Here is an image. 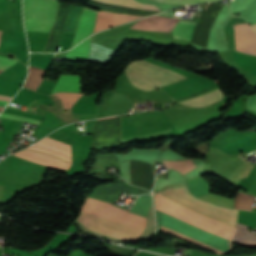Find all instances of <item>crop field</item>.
Instances as JSON below:
<instances>
[{"label":"crop field","instance_id":"4a817a6b","mask_svg":"<svg viewBox=\"0 0 256 256\" xmlns=\"http://www.w3.org/2000/svg\"><path fill=\"white\" fill-rule=\"evenodd\" d=\"M45 71L29 66L28 79L24 87L35 90L41 79L43 78Z\"/></svg>","mask_w":256,"mask_h":256},{"label":"crop field","instance_id":"eef30255","mask_svg":"<svg viewBox=\"0 0 256 256\" xmlns=\"http://www.w3.org/2000/svg\"><path fill=\"white\" fill-rule=\"evenodd\" d=\"M6 104H7L6 102H0V106H4L5 107Z\"/></svg>","mask_w":256,"mask_h":256},{"label":"crop field","instance_id":"bc2a9ffb","mask_svg":"<svg viewBox=\"0 0 256 256\" xmlns=\"http://www.w3.org/2000/svg\"><path fill=\"white\" fill-rule=\"evenodd\" d=\"M164 166L172 169H177L183 174L196 168L191 160L186 161H164Z\"/></svg>","mask_w":256,"mask_h":256},{"label":"crop field","instance_id":"e52e79f7","mask_svg":"<svg viewBox=\"0 0 256 256\" xmlns=\"http://www.w3.org/2000/svg\"><path fill=\"white\" fill-rule=\"evenodd\" d=\"M36 145H39V146H42V147H45V148H48V149H51V150H55V151H58V152H61V153H64V154H67V155L71 156V146L70 145H67L65 143L53 140V139L48 138V137L44 138L43 140L38 142ZM36 145H33V146H31L29 148H26V149L42 151V152L51 154L55 157H58L60 159H63L65 161H68V162L71 163V157L70 156H67V155H64V154H61V153H58V152H55V151H51V150H48V149H45V148H42V147H39V146H36Z\"/></svg>","mask_w":256,"mask_h":256},{"label":"crop field","instance_id":"8a807250","mask_svg":"<svg viewBox=\"0 0 256 256\" xmlns=\"http://www.w3.org/2000/svg\"><path fill=\"white\" fill-rule=\"evenodd\" d=\"M81 211L98 215L104 218L120 221L144 229L146 218L127 212L110 205L109 203L87 198ZM79 212L76 220L86 227L110 236L122 239H135L142 229L132 227L120 222L104 219L88 213Z\"/></svg>","mask_w":256,"mask_h":256},{"label":"crop field","instance_id":"ae1a2a85","mask_svg":"<svg viewBox=\"0 0 256 256\" xmlns=\"http://www.w3.org/2000/svg\"><path fill=\"white\" fill-rule=\"evenodd\" d=\"M253 30L256 32V24L252 25Z\"/></svg>","mask_w":256,"mask_h":256},{"label":"crop field","instance_id":"412701ff","mask_svg":"<svg viewBox=\"0 0 256 256\" xmlns=\"http://www.w3.org/2000/svg\"><path fill=\"white\" fill-rule=\"evenodd\" d=\"M57 0H24L27 30L48 32L54 22Z\"/></svg>","mask_w":256,"mask_h":256},{"label":"crop field","instance_id":"1d83c4d3","mask_svg":"<svg viewBox=\"0 0 256 256\" xmlns=\"http://www.w3.org/2000/svg\"><path fill=\"white\" fill-rule=\"evenodd\" d=\"M208 5H209V3H208ZM208 5H207V6H208ZM207 6H206V7H207ZM205 9H206V8H205Z\"/></svg>","mask_w":256,"mask_h":256},{"label":"crop field","instance_id":"4177f3b9","mask_svg":"<svg viewBox=\"0 0 256 256\" xmlns=\"http://www.w3.org/2000/svg\"><path fill=\"white\" fill-rule=\"evenodd\" d=\"M17 59L0 56V69H6L12 66Z\"/></svg>","mask_w":256,"mask_h":256},{"label":"crop field","instance_id":"dd49c442","mask_svg":"<svg viewBox=\"0 0 256 256\" xmlns=\"http://www.w3.org/2000/svg\"><path fill=\"white\" fill-rule=\"evenodd\" d=\"M236 50L256 55V34L249 24L234 25Z\"/></svg>","mask_w":256,"mask_h":256},{"label":"crop field","instance_id":"214f88e0","mask_svg":"<svg viewBox=\"0 0 256 256\" xmlns=\"http://www.w3.org/2000/svg\"><path fill=\"white\" fill-rule=\"evenodd\" d=\"M200 198L204 199V200H207L211 203H215V204H219V205H223V206L233 208L232 199H229V198H225V197L215 195V194H212V193H209V194H207L203 197H200Z\"/></svg>","mask_w":256,"mask_h":256},{"label":"crop field","instance_id":"733c2abd","mask_svg":"<svg viewBox=\"0 0 256 256\" xmlns=\"http://www.w3.org/2000/svg\"><path fill=\"white\" fill-rule=\"evenodd\" d=\"M255 199V197L237 192L233 201L234 208L239 210L252 211V205Z\"/></svg>","mask_w":256,"mask_h":256},{"label":"crop field","instance_id":"22f410ed","mask_svg":"<svg viewBox=\"0 0 256 256\" xmlns=\"http://www.w3.org/2000/svg\"><path fill=\"white\" fill-rule=\"evenodd\" d=\"M181 20L187 21V20H183V19H181ZM182 21H179V23L173 29L172 34H173L174 38L191 40L192 31L195 26V24H194L195 22L188 23L191 21H188V22H182Z\"/></svg>","mask_w":256,"mask_h":256},{"label":"crop field","instance_id":"92a150f3","mask_svg":"<svg viewBox=\"0 0 256 256\" xmlns=\"http://www.w3.org/2000/svg\"><path fill=\"white\" fill-rule=\"evenodd\" d=\"M159 228H160V229H163L164 231L170 232V233H172V234H174V235L180 236V237H182V238H184V239H186V240H188V241H190V242H193V243H195V244H197V245H200V246H202V247H204V248H206V249H209V250H211V251H214V252H216V253H218V254H226V253H228V252H230V251L232 250V246H231V242H230V241H229L230 249L227 250L226 252H221V251H219V250H217V249H215V248H212V247H210V246H208V245H205V244H203V243H200V242H198V241H196V240H193V239H191V238H189V237H186V236H184V235H182V234H179V233H177V232H174V231H172V230H170V229H167V228H165V227H163V226H161V225H159ZM180 237H179V238H180Z\"/></svg>","mask_w":256,"mask_h":256},{"label":"crop field","instance_id":"5a996713","mask_svg":"<svg viewBox=\"0 0 256 256\" xmlns=\"http://www.w3.org/2000/svg\"><path fill=\"white\" fill-rule=\"evenodd\" d=\"M96 14V10L86 7L84 8L81 20L77 28L76 38L73 43V46L93 31L94 23L96 20Z\"/></svg>","mask_w":256,"mask_h":256},{"label":"crop field","instance_id":"d3111659","mask_svg":"<svg viewBox=\"0 0 256 256\" xmlns=\"http://www.w3.org/2000/svg\"><path fill=\"white\" fill-rule=\"evenodd\" d=\"M115 117H117V116H115ZM108 118H113V117H108ZM108 118H103V119H108ZM103 119H101V120H103ZM99 121V120H98Z\"/></svg>","mask_w":256,"mask_h":256},{"label":"crop field","instance_id":"ac0d7876","mask_svg":"<svg viewBox=\"0 0 256 256\" xmlns=\"http://www.w3.org/2000/svg\"><path fill=\"white\" fill-rule=\"evenodd\" d=\"M126 75L133 86L153 90L161 85L186 79L185 77L145 60L134 61L126 67Z\"/></svg>","mask_w":256,"mask_h":256},{"label":"crop field","instance_id":"d8731c3e","mask_svg":"<svg viewBox=\"0 0 256 256\" xmlns=\"http://www.w3.org/2000/svg\"><path fill=\"white\" fill-rule=\"evenodd\" d=\"M13 155H16L18 157L27 159L29 161H32L41 165L55 167V168L64 169V170H66L70 166V164L63 162L57 158L51 157L46 154L38 153V152L20 151Z\"/></svg>","mask_w":256,"mask_h":256},{"label":"crop field","instance_id":"cbeb9de0","mask_svg":"<svg viewBox=\"0 0 256 256\" xmlns=\"http://www.w3.org/2000/svg\"><path fill=\"white\" fill-rule=\"evenodd\" d=\"M247 228H248L247 226H244V225L238 223L233 241L242 242V243L251 244V245L256 246V236L251 234L247 230Z\"/></svg>","mask_w":256,"mask_h":256},{"label":"crop field","instance_id":"00972430","mask_svg":"<svg viewBox=\"0 0 256 256\" xmlns=\"http://www.w3.org/2000/svg\"><path fill=\"white\" fill-rule=\"evenodd\" d=\"M0 117H4V118H8V119H13V120H19V121L28 122V123H33V124H36V125H38L39 122H40L38 120L28 119V118H24V117H21V116H14V115L5 114V113H2L0 115Z\"/></svg>","mask_w":256,"mask_h":256},{"label":"crop field","instance_id":"d9b57169","mask_svg":"<svg viewBox=\"0 0 256 256\" xmlns=\"http://www.w3.org/2000/svg\"><path fill=\"white\" fill-rule=\"evenodd\" d=\"M221 96H222V94L219 91V92H215V93H212L209 95H205V96L191 99V100L181 102V103H183L185 105H192V106H206V105H209L211 103H214V102L220 100Z\"/></svg>","mask_w":256,"mask_h":256},{"label":"crop field","instance_id":"730fd06b","mask_svg":"<svg viewBox=\"0 0 256 256\" xmlns=\"http://www.w3.org/2000/svg\"><path fill=\"white\" fill-rule=\"evenodd\" d=\"M11 99V97H7V96H0V101H6L9 102Z\"/></svg>","mask_w":256,"mask_h":256},{"label":"crop field","instance_id":"d1516ede","mask_svg":"<svg viewBox=\"0 0 256 256\" xmlns=\"http://www.w3.org/2000/svg\"><path fill=\"white\" fill-rule=\"evenodd\" d=\"M91 38L92 36L80 43L73 50H70L64 59L87 60L89 56Z\"/></svg>","mask_w":256,"mask_h":256},{"label":"crop field","instance_id":"a9b5d70f","mask_svg":"<svg viewBox=\"0 0 256 256\" xmlns=\"http://www.w3.org/2000/svg\"><path fill=\"white\" fill-rule=\"evenodd\" d=\"M157 1H162V2H166V3L189 5V4L200 3V2H208V1H214V0H157Z\"/></svg>","mask_w":256,"mask_h":256},{"label":"crop field","instance_id":"34b2d1b8","mask_svg":"<svg viewBox=\"0 0 256 256\" xmlns=\"http://www.w3.org/2000/svg\"><path fill=\"white\" fill-rule=\"evenodd\" d=\"M157 210L162 211L166 214L174 216L192 225L200 227L218 236L226 238L231 241L234 233V226L225 225L218 223L193 213H190L179 206H177L167 195L166 191L155 194Z\"/></svg>","mask_w":256,"mask_h":256},{"label":"crop field","instance_id":"3316defc","mask_svg":"<svg viewBox=\"0 0 256 256\" xmlns=\"http://www.w3.org/2000/svg\"><path fill=\"white\" fill-rule=\"evenodd\" d=\"M61 91L80 92V82L78 76H61L56 83L52 93Z\"/></svg>","mask_w":256,"mask_h":256},{"label":"crop field","instance_id":"750c4746","mask_svg":"<svg viewBox=\"0 0 256 256\" xmlns=\"http://www.w3.org/2000/svg\"><path fill=\"white\" fill-rule=\"evenodd\" d=\"M247 256H256V254H253V255H247Z\"/></svg>","mask_w":256,"mask_h":256},{"label":"crop field","instance_id":"bd1437ed","mask_svg":"<svg viewBox=\"0 0 256 256\" xmlns=\"http://www.w3.org/2000/svg\"><path fill=\"white\" fill-rule=\"evenodd\" d=\"M2 109H3V108H2V107H0V111H2Z\"/></svg>","mask_w":256,"mask_h":256},{"label":"crop field","instance_id":"dafd665d","mask_svg":"<svg viewBox=\"0 0 256 256\" xmlns=\"http://www.w3.org/2000/svg\"><path fill=\"white\" fill-rule=\"evenodd\" d=\"M53 95L61 99L65 108H70L76 102V100L81 96V94H74V93H58Z\"/></svg>","mask_w":256,"mask_h":256},{"label":"crop field","instance_id":"28ad6ade","mask_svg":"<svg viewBox=\"0 0 256 256\" xmlns=\"http://www.w3.org/2000/svg\"><path fill=\"white\" fill-rule=\"evenodd\" d=\"M102 3H108L128 8L141 9V10H151V11H160L155 5H146L136 2L134 0H92Z\"/></svg>","mask_w":256,"mask_h":256},{"label":"crop field","instance_id":"f4fd0767","mask_svg":"<svg viewBox=\"0 0 256 256\" xmlns=\"http://www.w3.org/2000/svg\"><path fill=\"white\" fill-rule=\"evenodd\" d=\"M181 15L172 13H161L148 18L141 19L133 29L170 31L178 22Z\"/></svg>","mask_w":256,"mask_h":256},{"label":"crop field","instance_id":"5142ce71","mask_svg":"<svg viewBox=\"0 0 256 256\" xmlns=\"http://www.w3.org/2000/svg\"><path fill=\"white\" fill-rule=\"evenodd\" d=\"M187 186L189 191L192 194H194L196 197H199L208 193L207 182L203 181L199 177L188 179Z\"/></svg>","mask_w":256,"mask_h":256}]
</instances>
